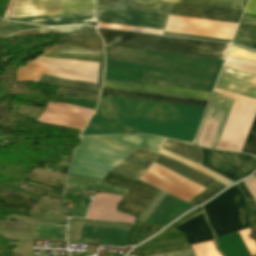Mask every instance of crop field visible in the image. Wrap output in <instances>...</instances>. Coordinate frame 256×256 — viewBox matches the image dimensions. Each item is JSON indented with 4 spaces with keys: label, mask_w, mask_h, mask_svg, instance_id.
Instances as JSON below:
<instances>
[{
    "label": "crop field",
    "mask_w": 256,
    "mask_h": 256,
    "mask_svg": "<svg viewBox=\"0 0 256 256\" xmlns=\"http://www.w3.org/2000/svg\"><path fill=\"white\" fill-rule=\"evenodd\" d=\"M204 109L101 96L81 136L150 133L191 143Z\"/></svg>",
    "instance_id": "1"
},
{
    "label": "crop field",
    "mask_w": 256,
    "mask_h": 256,
    "mask_svg": "<svg viewBox=\"0 0 256 256\" xmlns=\"http://www.w3.org/2000/svg\"><path fill=\"white\" fill-rule=\"evenodd\" d=\"M215 91L222 92L224 93V96L234 98L236 101L234 99L224 97L222 96V93ZM215 91L212 94L196 140L194 139V143H198L206 120H210L219 122V124L207 121L198 145L209 147L218 124L210 145L211 147L217 146L235 101L217 148L240 151L256 112V100L216 89Z\"/></svg>",
    "instance_id": "2"
},
{
    "label": "crop field",
    "mask_w": 256,
    "mask_h": 256,
    "mask_svg": "<svg viewBox=\"0 0 256 256\" xmlns=\"http://www.w3.org/2000/svg\"><path fill=\"white\" fill-rule=\"evenodd\" d=\"M103 66L104 64H100L99 67V63L38 57L32 62H28L25 67H20L16 73V78L17 81L36 82L38 73H41L79 82L96 84L99 67L97 85L79 83L41 74H39L37 80L38 83L81 91L77 92L59 89L57 93L59 96L80 97L97 100L102 83Z\"/></svg>",
    "instance_id": "3"
},
{
    "label": "crop field",
    "mask_w": 256,
    "mask_h": 256,
    "mask_svg": "<svg viewBox=\"0 0 256 256\" xmlns=\"http://www.w3.org/2000/svg\"><path fill=\"white\" fill-rule=\"evenodd\" d=\"M162 141L148 135L84 137L73 153L68 174L102 180L135 147L156 153Z\"/></svg>",
    "instance_id": "4"
},
{
    "label": "crop field",
    "mask_w": 256,
    "mask_h": 256,
    "mask_svg": "<svg viewBox=\"0 0 256 256\" xmlns=\"http://www.w3.org/2000/svg\"><path fill=\"white\" fill-rule=\"evenodd\" d=\"M105 45L224 59L230 44L98 29Z\"/></svg>",
    "instance_id": "5"
},
{
    "label": "crop field",
    "mask_w": 256,
    "mask_h": 256,
    "mask_svg": "<svg viewBox=\"0 0 256 256\" xmlns=\"http://www.w3.org/2000/svg\"><path fill=\"white\" fill-rule=\"evenodd\" d=\"M98 6L238 23L243 11L158 1L98 0Z\"/></svg>",
    "instance_id": "6"
},
{
    "label": "crop field",
    "mask_w": 256,
    "mask_h": 256,
    "mask_svg": "<svg viewBox=\"0 0 256 256\" xmlns=\"http://www.w3.org/2000/svg\"><path fill=\"white\" fill-rule=\"evenodd\" d=\"M203 210L217 237L251 226L245 198L236 185L203 205Z\"/></svg>",
    "instance_id": "7"
},
{
    "label": "crop field",
    "mask_w": 256,
    "mask_h": 256,
    "mask_svg": "<svg viewBox=\"0 0 256 256\" xmlns=\"http://www.w3.org/2000/svg\"><path fill=\"white\" fill-rule=\"evenodd\" d=\"M154 155V153L135 148L128 156H126L112 169V172L136 181L151 166ZM139 180L162 189L186 202L195 197V195L188 193L148 172L141 176Z\"/></svg>",
    "instance_id": "8"
},
{
    "label": "crop field",
    "mask_w": 256,
    "mask_h": 256,
    "mask_svg": "<svg viewBox=\"0 0 256 256\" xmlns=\"http://www.w3.org/2000/svg\"><path fill=\"white\" fill-rule=\"evenodd\" d=\"M95 12V0H16L9 18Z\"/></svg>",
    "instance_id": "9"
},
{
    "label": "crop field",
    "mask_w": 256,
    "mask_h": 256,
    "mask_svg": "<svg viewBox=\"0 0 256 256\" xmlns=\"http://www.w3.org/2000/svg\"><path fill=\"white\" fill-rule=\"evenodd\" d=\"M41 56L104 63L102 39L98 34H72Z\"/></svg>",
    "instance_id": "10"
},
{
    "label": "crop field",
    "mask_w": 256,
    "mask_h": 256,
    "mask_svg": "<svg viewBox=\"0 0 256 256\" xmlns=\"http://www.w3.org/2000/svg\"><path fill=\"white\" fill-rule=\"evenodd\" d=\"M202 153L203 166L235 182L256 169V156L205 148H202Z\"/></svg>",
    "instance_id": "11"
},
{
    "label": "crop field",
    "mask_w": 256,
    "mask_h": 256,
    "mask_svg": "<svg viewBox=\"0 0 256 256\" xmlns=\"http://www.w3.org/2000/svg\"><path fill=\"white\" fill-rule=\"evenodd\" d=\"M237 25L169 16L164 31L231 40Z\"/></svg>",
    "instance_id": "12"
},
{
    "label": "crop field",
    "mask_w": 256,
    "mask_h": 256,
    "mask_svg": "<svg viewBox=\"0 0 256 256\" xmlns=\"http://www.w3.org/2000/svg\"><path fill=\"white\" fill-rule=\"evenodd\" d=\"M164 15L98 7V22L163 30Z\"/></svg>",
    "instance_id": "13"
},
{
    "label": "crop field",
    "mask_w": 256,
    "mask_h": 256,
    "mask_svg": "<svg viewBox=\"0 0 256 256\" xmlns=\"http://www.w3.org/2000/svg\"><path fill=\"white\" fill-rule=\"evenodd\" d=\"M92 112L90 109L49 103L38 121L83 130Z\"/></svg>",
    "instance_id": "14"
},
{
    "label": "crop field",
    "mask_w": 256,
    "mask_h": 256,
    "mask_svg": "<svg viewBox=\"0 0 256 256\" xmlns=\"http://www.w3.org/2000/svg\"><path fill=\"white\" fill-rule=\"evenodd\" d=\"M148 172L188 191L195 195L200 193L205 188L153 163L152 166L149 168ZM225 185L214 182L212 185H210L208 188H206L204 191H202L200 194H198L195 198H193L189 203L197 206L198 204L210 199L215 194H217L220 190L224 189Z\"/></svg>",
    "instance_id": "15"
},
{
    "label": "crop field",
    "mask_w": 256,
    "mask_h": 256,
    "mask_svg": "<svg viewBox=\"0 0 256 256\" xmlns=\"http://www.w3.org/2000/svg\"><path fill=\"white\" fill-rule=\"evenodd\" d=\"M215 88L256 99V75L224 66Z\"/></svg>",
    "instance_id": "16"
},
{
    "label": "crop field",
    "mask_w": 256,
    "mask_h": 256,
    "mask_svg": "<svg viewBox=\"0 0 256 256\" xmlns=\"http://www.w3.org/2000/svg\"><path fill=\"white\" fill-rule=\"evenodd\" d=\"M121 199V196L96 193L86 219L133 224L135 217L116 211V205Z\"/></svg>",
    "instance_id": "17"
},
{
    "label": "crop field",
    "mask_w": 256,
    "mask_h": 256,
    "mask_svg": "<svg viewBox=\"0 0 256 256\" xmlns=\"http://www.w3.org/2000/svg\"><path fill=\"white\" fill-rule=\"evenodd\" d=\"M103 87L207 99L210 93L187 89L104 80Z\"/></svg>",
    "instance_id": "18"
},
{
    "label": "crop field",
    "mask_w": 256,
    "mask_h": 256,
    "mask_svg": "<svg viewBox=\"0 0 256 256\" xmlns=\"http://www.w3.org/2000/svg\"><path fill=\"white\" fill-rule=\"evenodd\" d=\"M101 95L149 100V101H157V102H166V103H175V104H184V105H192V106H201V107H205L208 101L203 99L124 91V90L107 89V88H103Z\"/></svg>",
    "instance_id": "19"
},
{
    "label": "crop field",
    "mask_w": 256,
    "mask_h": 256,
    "mask_svg": "<svg viewBox=\"0 0 256 256\" xmlns=\"http://www.w3.org/2000/svg\"><path fill=\"white\" fill-rule=\"evenodd\" d=\"M246 13L256 14V0H249ZM233 43L256 49V20L242 17Z\"/></svg>",
    "instance_id": "20"
},
{
    "label": "crop field",
    "mask_w": 256,
    "mask_h": 256,
    "mask_svg": "<svg viewBox=\"0 0 256 256\" xmlns=\"http://www.w3.org/2000/svg\"><path fill=\"white\" fill-rule=\"evenodd\" d=\"M174 229L184 233L189 245L213 240L212 232L206 224L203 213Z\"/></svg>",
    "instance_id": "21"
},
{
    "label": "crop field",
    "mask_w": 256,
    "mask_h": 256,
    "mask_svg": "<svg viewBox=\"0 0 256 256\" xmlns=\"http://www.w3.org/2000/svg\"><path fill=\"white\" fill-rule=\"evenodd\" d=\"M156 163L190 179L191 181L203 186V187H207L209 186L211 183H213L214 179L186 166L183 165L181 163H178L176 161H173L171 159H168L164 156H161L159 154H157V158H156Z\"/></svg>",
    "instance_id": "22"
},
{
    "label": "crop field",
    "mask_w": 256,
    "mask_h": 256,
    "mask_svg": "<svg viewBox=\"0 0 256 256\" xmlns=\"http://www.w3.org/2000/svg\"><path fill=\"white\" fill-rule=\"evenodd\" d=\"M228 54L256 62V51L253 50L232 45ZM229 55L227 56V59L225 61V66L256 74L255 62L247 61Z\"/></svg>",
    "instance_id": "23"
},
{
    "label": "crop field",
    "mask_w": 256,
    "mask_h": 256,
    "mask_svg": "<svg viewBox=\"0 0 256 256\" xmlns=\"http://www.w3.org/2000/svg\"><path fill=\"white\" fill-rule=\"evenodd\" d=\"M65 189L81 190V191H100L108 193H116L125 195L126 189L108 186L100 181L90 180L86 178L67 177V185Z\"/></svg>",
    "instance_id": "24"
},
{
    "label": "crop field",
    "mask_w": 256,
    "mask_h": 256,
    "mask_svg": "<svg viewBox=\"0 0 256 256\" xmlns=\"http://www.w3.org/2000/svg\"><path fill=\"white\" fill-rule=\"evenodd\" d=\"M162 149L180 155L201 165V151L198 147L166 139Z\"/></svg>",
    "instance_id": "25"
},
{
    "label": "crop field",
    "mask_w": 256,
    "mask_h": 256,
    "mask_svg": "<svg viewBox=\"0 0 256 256\" xmlns=\"http://www.w3.org/2000/svg\"><path fill=\"white\" fill-rule=\"evenodd\" d=\"M60 33H97L95 28L89 26H71L42 30L24 31L13 34L9 37L26 36V35H42V34H60Z\"/></svg>",
    "instance_id": "26"
},
{
    "label": "crop field",
    "mask_w": 256,
    "mask_h": 256,
    "mask_svg": "<svg viewBox=\"0 0 256 256\" xmlns=\"http://www.w3.org/2000/svg\"><path fill=\"white\" fill-rule=\"evenodd\" d=\"M94 21H96V16L24 20L20 22L33 23V24H39V25H45V26H61V25H71V24H83V23H89Z\"/></svg>",
    "instance_id": "27"
},
{
    "label": "crop field",
    "mask_w": 256,
    "mask_h": 256,
    "mask_svg": "<svg viewBox=\"0 0 256 256\" xmlns=\"http://www.w3.org/2000/svg\"><path fill=\"white\" fill-rule=\"evenodd\" d=\"M66 228L62 226L38 225L35 239L66 241Z\"/></svg>",
    "instance_id": "28"
},
{
    "label": "crop field",
    "mask_w": 256,
    "mask_h": 256,
    "mask_svg": "<svg viewBox=\"0 0 256 256\" xmlns=\"http://www.w3.org/2000/svg\"><path fill=\"white\" fill-rule=\"evenodd\" d=\"M243 10L244 0H166Z\"/></svg>",
    "instance_id": "29"
},
{
    "label": "crop field",
    "mask_w": 256,
    "mask_h": 256,
    "mask_svg": "<svg viewBox=\"0 0 256 256\" xmlns=\"http://www.w3.org/2000/svg\"><path fill=\"white\" fill-rule=\"evenodd\" d=\"M159 153H161V154H163V155H165V156H167V157H169V158H171L173 160H176L178 162H181L183 164L191 166V167L199 170L200 172H202V173H204V174H206V175L216 179L217 181H219V182H221V183H223V184H225L227 186L232 184V183H234V182H232V181H230V180H228V179H226V178H224V177H222V176H220V175H218V174H216V173H214V172H212V171H210V170H208V169H206V168H204V167H202V166H200L198 164L192 163V162H190V161H188V160H186V159H184V158H182L180 156H177L175 154L169 153V152L164 151L162 149H160Z\"/></svg>",
    "instance_id": "30"
},
{
    "label": "crop field",
    "mask_w": 256,
    "mask_h": 256,
    "mask_svg": "<svg viewBox=\"0 0 256 256\" xmlns=\"http://www.w3.org/2000/svg\"><path fill=\"white\" fill-rule=\"evenodd\" d=\"M162 228L163 227L160 226L136 222L134 227L131 229L130 235L148 238Z\"/></svg>",
    "instance_id": "31"
},
{
    "label": "crop field",
    "mask_w": 256,
    "mask_h": 256,
    "mask_svg": "<svg viewBox=\"0 0 256 256\" xmlns=\"http://www.w3.org/2000/svg\"><path fill=\"white\" fill-rule=\"evenodd\" d=\"M196 256H220L216 251L213 241L191 246Z\"/></svg>",
    "instance_id": "32"
},
{
    "label": "crop field",
    "mask_w": 256,
    "mask_h": 256,
    "mask_svg": "<svg viewBox=\"0 0 256 256\" xmlns=\"http://www.w3.org/2000/svg\"><path fill=\"white\" fill-rule=\"evenodd\" d=\"M241 151L256 155V117L253 120Z\"/></svg>",
    "instance_id": "33"
},
{
    "label": "crop field",
    "mask_w": 256,
    "mask_h": 256,
    "mask_svg": "<svg viewBox=\"0 0 256 256\" xmlns=\"http://www.w3.org/2000/svg\"><path fill=\"white\" fill-rule=\"evenodd\" d=\"M65 195L79 199L77 206L75 208V211L73 213V216L84 218L87 206L89 204V200H87V198H85V197L78 196V194H76V193L65 192Z\"/></svg>",
    "instance_id": "34"
},
{
    "label": "crop field",
    "mask_w": 256,
    "mask_h": 256,
    "mask_svg": "<svg viewBox=\"0 0 256 256\" xmlns=\"http://www.w3.org/2000/svg\"><path fill=\"white\" fill-rule=\"evenodd\" d=\"M3 21L4 20H1L0 23H2ZM6 22H10V21H6ZM6 22H3L2 24H0V37L5 35V34H7V33H9V32H11V31H15V30H18V29L33 28V27H29V26H33V25L23 26V25H27V24L18 25V24H22V23L12 24V23H16V22H12V23H6ZM35 27L44 28V27H39V26H35ZM24 30H27V29H24ZM19 31H23V30H18V31H15V32H19ZM15 32H12V33H15ZM12 33H10V34H12ZM10 34H8V35H10Z\"/></svg>",
    "instance_id": "35"
},
{
    "label": "crop field",
    "mask_w": 256,
    "mask_h": 256,
    "mask_svg": "<svg viewBox=\"0 0 256 256\" xmlns=\"http://www.w3.org/2000/svg\"><path fill=\"white\" fill-rule=\"evenodd\" d=\"M189 248H190V246L188 244H183V245H179V246H173V247H167V248L149 250V251H135V252L133 251L132 253L153 255V254L166 253V252H172V251L189 249Z\"/></svg>",
    "instance_id": "36"
},
{
    "label": "crop field",
    "mask_w": 256,
    "mask_h": 256,
    "mask_svg": "<svg viewBox=\"0 0 256 256\" xmlns=\"http://www.w3.org/2000/svg\"><path fill=\"white\" fill-rule=\"evenodd\" d=\"M98 27L162 34L163 31L98 23Z\"/></svg>",
    "instance_id": "37"
},
{
    "label": "crop field",
    "mask_w": 256,
    "mask_h": 256,
    "mask_svg": "<svg viewBox=\"0 0 256 256\" xmlns=\"http://www.w3.org/2000/svg\"><path fill=\"white\" fill-rule=\"evenodd\" d=\"M181 236H183V234L178 232V231H176V230H164L162 233H160L154 239H152V240H150V241H148L146 243L157 242V241L172 239V238L181 237Z\"/></svg>",
    "instance_id": "38"
},
{
    "label": "crop field",
    "mask_w": 256,
    "mask_h": 256,
    "mask_svg": "<svg viewBox=\"0 0 256 256\" xmlns=\"http://www.w3.org/2000/svg\"><path fill=\"white\" fill-rule=\"evenodd\" d=\"M251 233L250 229H246L243 231H240V234L251 254V256L256 254V243L253 239H250L247 235H249Z\"/></svg>",
    "instance_id": "39"
},
{
    "label": "crop field",
    "mask_w": 256,
    "mask_h": 256,
    "mask_svg": "<svg viewBox=\"0 0 256 256\" xmlns=\"http://www.w3.org/2000/svg\"><path fill=\"white\" fill-rule=\"evenodd\" d=\"M25 180L32 181V182H35L37 184H41V185H44V186H47V187H51V188H54V189H57V190H58V188L63 189V186H61V185H56V184H52V183L46 182V181H50V180H46V179H43V178L31 175V174ZM43 180H46V181H43ZM50 182H54V183H58V184H62L63 185V183L56 182V181H50Z\"/></svg>",
    "instance_id": "40"
},
{
    "label": "crop field",
    "mask_w": 256,
    "mask_h": 256,
    "mask_svg": "<svg viewBox=\"0 0 256 256\" xmlns=\"http://www.w3.org/2000/svg\"><path fill=\"white\" fill-rule=\"evenodd\" d=\"M185 242H186L185 238H180V239L171 240V241L153 244V245H142L138 249H151V248L166 247V246L179 244V243H185Z\"/></svg>",
    "instance_id": "41"
},
{
    "label": "crop field",
    "mask_w": 256,
    "mask_h": 256,
    "mask_svg": "<svg viewBox=\"0 0 256 256\" xmlns=\"http://www.w3.org/2000/svg\"><path fill=\"white\" fill-rule=\"evenodd\" d=\"M202 213L200 207L191 211L190 213H188L187 215H185L184 217H182L180 220H178L177 222H175L174 224H172L170 227L168 228H174L188 220H190L191 218L195 217L196 215Z\"/></svg>",
    "instance_id": "42"
},
{
    "label": "crop field",
    "mask_w": 256,
    "mask_h": 256,
    "mask_svg": "<svg viewBox=\"0 0 256 256\" xmlns=\"http://www.w3.org/2000/svg\"><path fill=\"white\" fill-rule=\"evenodd\" d=\"M244 183L256 201V176L252 175L250 178L244 180Z\"/></svg>",
    "instance_id": "43"
},
{
    "label": "crop field",
    "mask_w": 256,
    "mask_h": 256,
    "mask_svg": "<svg viewBox=\"0 0 256 256\" xmlns=\"http://www.w3.org/2000/svg\"><path fill=\"white\" fill-rule=\"evenodd\" d=\"M87 15H96V13L74 14V15H60V16H45V17H31V18H16V19H9V20L39 19V18H55V17H71V16H87Z\"/></svg>",
    "instance_id": "44"
},
{
    "label": "crop field",
    "mask_w": 256,
    "mask_h": 256,
    "mask_svg": "<svg viewBox=\"0 0 256 256\" xmlns=\"http://www.w3.org/2000/svg\"><path fill=\"white\" fill-rule=\"evenodd\" d=\"M156 256H194V254L192 250H186V251L173 252V253L161 254Z\"/></svg>",
    "instance_id": "45"
},
{
    "label": "crop field",
    "mask_w": 256,
    "mask_h": 256,
    "mask_svg": "<svg viewBox=\"0 0 256 256\" xmlns=\"http://www.w3.org/2000/svg\"><path fill=\"white\" fill-rule=\"evenodd\" d=\"M24 183H27V182H24ZM27 184H29V185H31V186L38 187V188H42V189H46V190H49V191H53V192L60 193V192H58V191H55V190H53V189H49V188H46V187L38 186V185H35V184H31V183H27ZM61 194H62V193H61Z\"/></svg>",
    "instance_id": "46"
},
{
    "label": "crop field",
    "mask_w": 256,
    "mask_h": 256,
    "mask_svg": "<svg viewBox=\"0 0 256 256\" xmlns=\"http://www.w3.org/2000/svg\"><path fill=\"white\" fill-rule=\"evenodd\" d=\"M254 175H256V173H254Z\"/></svg>",
    "instance_id": "47"
}]
</instances>
